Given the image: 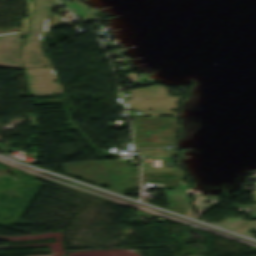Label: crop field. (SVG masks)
<instances>
[{
	"label": "crop field",
	"instance_id": "obj_2",
	"mask_svg": "<svg viewBox=\"0 0 256 256\" xmlns=\"http://www.w3.org/2000/svg\"><path fill=\"white\" fill-rule=\"evenodd\" d=\"M26 1H27L28 15L24 17L22 30H26L27 19L29 17L30 12L33 10V7H34L31 0H26Z\"/></svg>",
	"mask_w": 256,
	"mask_h": 256
},
{
	"label": "crop field",
	"instance_id": "obj_5",
	"mask_svg": "<svg viewBox=\"0 0 256 256\" xmlns=\"http://www.w3.org/2000/svg\"><path fill=\"white\" fill-rule=\"evenodd\" d=\"M73 10H75V9H73Z\"/></svg>",
	"mask_w": 256,
	"mask_h": 256
},
{
	"label": "crop field",
	"instance_id": "obj_3",
	"mask_svg": "<svg viewBox=\"0 0 256 256\" xmlns=\"http://www.w3.org/2000/svg\"><path fill=\"white\" fill-rule=\"evenodd\" d=\"M247 224H243L239 229L236 230V232H239L241 234H244V235H250V236H253L251 234V230L249 229V225H248V222H246Z\"/></svg>",
	"mask_w": 256,
	"mask_h": 256
},
{
	"label": "crop field",
	"instance_id": "obj_1",
	"mask_svg": "<svg viewBox=\"0 0 256 256\" xmlns=\"http://www.w3.org/2000/svg\"><path fill=\"white\" fill-rule=\"evenodd\" d=\"M25 31L0 34V66L22 68L18 47Z\"/></svg>",
	"mask_w": 256,
	"mask_h": 256
},
{
	"label": "crop field",
	"instance_id": "obj_4",
	"mask_svg": "<svg viewBox=\"0 0 256 256\" xmlns=\"http://www.w3.org/2000/svg\"><path fill=\"white\" fill-rule=\"evenodd\" d=\"M250 218H251V219L256 218V204H254V205L251 207Z\"/></svg>",
	"mask_w": 256,
	"mask_h": 256
}]
</instances>
